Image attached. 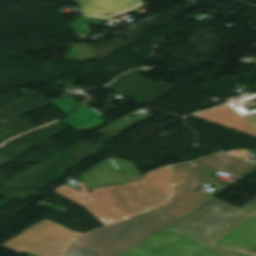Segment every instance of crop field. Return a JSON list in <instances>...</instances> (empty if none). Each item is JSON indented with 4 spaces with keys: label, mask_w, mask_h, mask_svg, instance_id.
Here are the masks:
<instances>
[{
    "label": "crop field",
    "mask_w": 256,
    "mask_h": 256,
    "mask_svg": "<svg viewBox=\"0 0 256 256\" xmlns=\"http://www.w3.org/2000/svg\"><path fill=\"white\" fill-rule=\"evenodd\" d=\"M30 256H32V255H30Z\"/></svg>",
    "instance_id": "obj_17"
},
{
    "label": "crop field",
    "mask_w": 256,
    "mask_h": 256,
    "mask_svg": "<svg viewBox=\"0 0 256 256\" xmlns=\"http://www.w3.org/2000/svg\"><path fill=\"white\" fill-rule=\"evenodd\" d=\"M253 237H255V238H256V234H255Z\"/></svg>",
    "instance_id": "obj_16"
},
{
    "label": "crop field",
    "mask_w": 256,
    "mask_h": 256,
    "mask_svg": "<svg viewBox=\"0 0 256 256\" xmlns=\"http://www.w3.org/2000/svg\"><path fill=\"white\" fill-rule=\"evenodd\" d=\"M228 164L217 158H203L174 166L177 193L168 205L161 208L177 219L201 204L207 197L198 191L199 188L213 182L205 177Z\"/></svg>",
    "instance_id": "obj_3"
},
{
    "label": "crop field",
    "mask_w": 256,
    "mask_h": 256,
    "mask_svg": "<svg viewBox=\"0 0 256 256\" xmlns=\"http://www.w3.org/2000/svg\"><path fill=\"white\" fill-rule=\"evenodd\" d=\"M255 170L256 164L246 161L242 165L234 169L231 173L244 177Z\"/></svg>",
    "instance_id": "obj_12"
},
{
    "label": "crop field",
    "mask_w": 256,
    "mask_h": 256,
    "mask_svg": "<svg viewBox=\"0 0 256 256\" xmlns=\"http://www.w3.org/2000/svg\"><path fill=\"white\" fill-rule=\"evenodd\" d=\"M79 177L88 192L94 188L142 178L133 163L117 158L106 159Z\"/></svg>",
    "instance_id": "obj_6"
},
{
    "label": "crop field",
    "mask_w": 256,
    "mask_h": 256,
    "mask_svg": "<svg viewBox=\"0 0 256 256\" xmlns=\"http://www.w3.org/2000/svg\"><path fill=\"white\" fill-rule=\"evenodd\" d=\"M78 184L82 194L65 185L55 189V192L82 205L105 225L128 218V216L113 203L106 188L93 190L89 194L81 181Z\"/></svg>",
    "instance_id": "obj_5"
},
{
    "label": "crop field",
    "mask_w": 256,
    "mask_h": 256,
    "mask_svg": "<svg viewBox=\"0 0 256 256\" xmlns=\"http://www.w3.org/2000/svg\"><path fill=\"white\" fill-rule=\"evenodd\" d=\"M256 213L215 241L213 245L256 253Z\"/></svg>",
    "instance_id": "obj_8"
},
{
    "label": "crop field",
    "mask_w": 256,
    "mask_h": 256,
    "mask_svg": "<svg viewBox=\"0 0 256 256\" xmlns=\"http://www.w3.org/2000/svg\"><path fill=\"white\" fill-rule=\"evenodd\" d=\"M51 102L67 114L71 113L78 106L72 97L61 100H53Z\"/></svg>",
    "instance_id": "obj_10"
},
{
    "label": "crop field",
    "mask_w": 256,
    "mask_h": 256,
    "mask_svg": "<svg viewBox=\"0 0 256 256\" xmlns=\"http://www.w3.org/2000/svg\"><path fill=\"white\" fill-rule=\"evenodd\" d=\"M256 212V198L238 208L211 198L171 226L213 243Z\"/></svg>",
    "instance_id": "obj_2"
},
{
    "label": "crop field",
    "mask_w": 256,
    "mask_h": 256,
    "mask_svg": "<svg viewBox=\"0 0 256 256\" xmlns=\"http://www.w3.org/2000/svg\"><path fill=\"white\" fill-rule=\"evenodd\" d=\"M209 245L169 226L123 256H195Z\"/></svg>",
    "instance_id": "obj_4"
},
{
    "label": "crop field",
    "mask_w": 256,
    "mask_h": 256,
    "mask_svg": "<svg viewBox=\"0 0 256 256\" xmlns=\"http://www.w3.org/2000/svg\"><path fill=\"white\" fill-rule=\"evenodd\" d=\"M197 256H226L224 254H221L217 251L211 250L209 248L205 249L203 252L198 254Z\"/></svg>",
    "instance_id": "obj_14"
},
{
    "label": "crop field",
    "mask_w": 256,
    "mask_h": 256,
    "mask_svg": "<svg viewBox=\"0 0 256 256\" xmlns=\"http://www.w3.org/2000/svg\"><path fill=\"white\" fill-rule=\"evenodd\" d=\"M223 189H225V188L219 186V187H217L216 189H214L213 191L209 192V193L206 194V195L211 198L212 196H214V195L217 194L218 192L222 191Z\"/></svg>",
    "instance_id": "obj_15"
},
{
    "label": "crop field",
    "mask_w": 256,
    "mask_h": 256,
    "mask_svg": "<svg viewBox=\"0 0 256 256\" xmlns=\"http://www.w3.org/2000/svg\"><path fill=\"white\" fill-rule=\"evenodd\" d=\"M209 248H212V249H214V250H217V251H219V252H221V253H224V254H226V255H229V256H255V255L240 253V252L231 251V250H226V249H221V248L212 247V246H209Z\"/></svg>",
    "instance_id": "obj_13"
},
{
    "label": "crop field",
    "mask_w": 256,
    "mask_h": 256,
    "mask_svg": "<svg viewBox=\"0 0 256 256\" xmlns=\"http://www.w3.org/2000/svg\"><path fill=\"white\" fill-rule=\"evenodd\" d=\"M211 157H217L219 159H222L224 161H227L229 163H231L230 165H228L227 167L223 168V170H227V171H232L234 168H236L237 166H239L241 163H243L245 160L224 154V153H219L216 154L214 156Z\"/></svg>",
    "instance_id": "obj_11"
},
{
    "label": "crop field",
    "mask_w": 256,
    "mask_h": 256,
    "mask_svg": "<svg viewBox=\"0 0 256 256\" xmlns=\"http://www.w3.org/2000/svg\"><path fill=\"white\" fill-rule=\"evenodd\" d=\"M102 115L103 114L85 104L62 121L82 132L102 125V123L106 121L100 118Z\"/></svg>",
    "instance_id": "obj_9"
},
{
    "label": "crop field",
    "mask_w": 256,
    "mask_h": 256,
    "mask_svg": "<svg viewBox=\"0 0 256 256\" xmlns=\"http://www.w3.org/2000/svg\"><path fill=\"white\" fill-rule=\"evenodd\" d=\"M173 220L158 208L83 236L67 256H119Z\"/></svg>",
    "instance_id": "obj_1"
},
{
    "label": "crop field",
    "mask_w": 256,
    "mask_h": 256,
    "mask_svg": "<svg viewBox=\"0 0 256 256\" xmlns=\"http://www.w3.org/2000/svg\"><path fill=\"white\" fill-rule=\"evenodd\" d=\"M142 0H73L81 6V11L87 16L113 19L121 13H130L146 3Z\"/></svg>",
    "instance_id": "obj_7"
}]
</instances>
